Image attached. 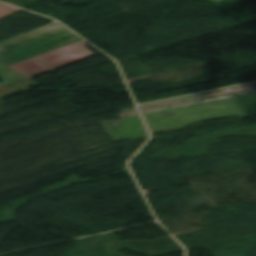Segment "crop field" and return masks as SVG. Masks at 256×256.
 Returning a JSON list of instances; mask_svg holds the SVG:
<instances>
[{
    "instance_id": "1",
    "label": "crop field",
    "mask_w": 256,
    "mask_h": 256,
    "mask_svg": "<svg viewBox=\"0 0 256 256\" xmlns=\"http://www.w3.org/2000/svg\"><path fill=\"white\" fill-rule=\"evenodd\" d=\"M81 40L59 23L0 44V62L9 65Z\"/></svg>"
},
{
    "instance_id": "2",
    "label": "crop field",
    "mask_w": 256,
    "mask_h": 256,
    "mask_svg": "<svg viewBox=\"0 0 256 256\" xmlns=\"http://www.w3.org/2000/svg\"><path fill=\"white\" fill-rule=\"evenodd\" d=\"M83 40L73 44L61 47L59 49L36 56L42 63H44L52 71L77 62L84 58L94 55L87 47Z\"/></svg>"
},
{
    "instance_id": "3",
    "label": "crop field",
    "mask_w": 256,
    "mask_h": 256,
    "mask_svg": "<svg viewBox=\"0 0 256 256\" xmlns=\"http://www.w3.org/2000/svg\"><path fill=\"white\" fill-rule=\"evenodd\" d=\"M13 69L32 79L37 76L51 72L45 65H43L35 57L9 65Z\"/></svg>"
}]
</instances>
